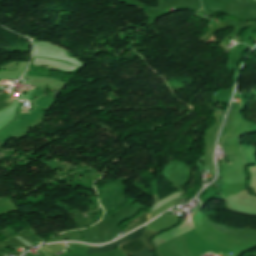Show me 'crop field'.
Instances as JSON below:
<instances>
[{
  "mask_svg": "<svg viewBox=\"0 0 256 256\" xmlns=\"http://www.w3.org/2000/svg\"><path fill=\"white\" fill-rule=\"evenodd\" d=\"M146 221H148V214L142 215L138 221H136L135 223H133L129 227L125 228L124 231L125 232L130 231V230L136 228L137 226L143 224Z\"/></svg>",
  "mask_w": 256,
  "mask_h": 256,
  "instance_id": "obj_3",
  "label": "crop field"
},
{
  "mask_svg": "<svg viewBox=\"0 0 256 256\" xmlns=\"http://www.w3.org/2000/svg\"><path fill=\"white\" fill-rule=\"evenodd\" d=\"M144 228H145V227H142V228L139 229L138 231L132 233L131 235H129V236H127V237H125V238H123V239H121V240H119V241H117V242H115V243H113V244H111V245L103 246V247H98V248H91V249L89 250L88 254L112 251V250H114V249L117 247L118 244L122 243L123 241H125V240H127V239H128V240L125 241L124 243L120 244V246L123 245V244H126V243H128V242H130V241H132V240H135V239L141 237Z\"/></svg>",
  "mask_w": 256,
  "mask_h": 256,
  "instance_id": "obj_2",
  "label": "crop field"
},
{
  "mask_svg": "<svg viewBox=\"0 0 256 256\" xmlns=\"http://www.w3.org/2000/svg\"><path fill=\"white\" fill-rule=\"evenodd\" d=\"M159 232H147L145 231V234L143 237L132 241L122 247L120 249L124 251L127 255H134L144 249L145 244L149 248L150 252L154 251L153 247L150 243L151 239L154 235L158 234Z\"/></svg>",
  "mask_w": 256,
  "mask_h": 256,
  "instance_id": "obj_1",
  "label": "crop field"
},
{
  "mask_svg": "<svg viewBox=\"0 0 256 256\" xmlns=\"http://www.w3.org/2000/svg\"><path fill=\"white\" fill-rule=\"evenodd\" d=\"M134 256H154V255L151 254V253L149 252V250L147 249V247L145 246V249H144L143 252H140V253H138V254H136V255H134Z\"/></svg>",
  "mask_w": 256,
  "mask_h": 256,
  "instance_id": "obj_4",
  "label": "crop field"
}]
</instances>
